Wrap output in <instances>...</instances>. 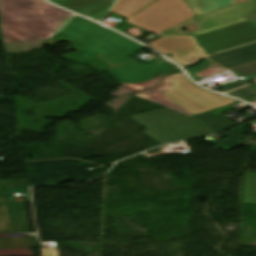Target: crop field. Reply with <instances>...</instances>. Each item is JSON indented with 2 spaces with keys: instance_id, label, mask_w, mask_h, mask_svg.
<instances>
[{
  "instance_id": "crop-field-3",
  "label": "crop field",
  "mask_w": 256,
  "mask_h": 256,
  "mask_svg": "<svg viewBox=\"0 0 256 256\" xmlns=\"http://www.w3.org/2000/svg\"><path fill=\"white\" fill-rule=\"evenodd\" d=\"M148 130L145 134L161 144L215 133L196 118L169 108L131 115Z\"/></svg>"
},
{
  "instance_id": "crop-field-2",
  "label": "crop field",
  "mask_w": 256,
  "mask_h": 256,
  "mask_svg": "<svg viewBox=\"0 0 256 256\" xmlns=\"http://www.w3.org/2000/svg\"><path fill=\"white\" fill-rule=\"evenodd\" d=\"M0 15L5 46L47 41L70 16L42 0H0Z\"/></svg>"
},
{
  "instance_id": "crop-field-8",
  "label": "crop field",
  "mask_w": 256,
  "mask_h": 256,
  "mask_svg": "<svg viewBox=\"0 0 256 256\" xmlns=\"http://www.w3.org/2000/svg\"><path fill=\"white\" fill-rule=\"evenodd\" d=\"M155 0H121L113 13L129 18L138 13Z\"/></svg>"
},
{
  "instance_id": "crop-field-6",
  "label": "crop field",
  "mask_w": 256,
  "mask_h": 256,
  "mask_svg": "<svg viewBox=\"0 0 256 256\" xmlns=\"http://www.w3.org/2000/svg\"><path fill=\"white\" fill-rule=\"evenodd\" d=\"M172 79L169 76H166L162 80L156 82L155 84L149 86L148 88L142 90L141 92L137 93L136 95L146 98L148 100L154 101L171 109H174L178 112L186 114L192 117L189 113L183 110L181 107L172 104L168 101L164 96H162L159 92L169 89L168 83L171 82Z\"/></svg>"
},
{
  "instance_id": "crop-field-19",
  "label": "crop field",
  "mask_w": 256,
  "mask_h": 256,
  "mask_svg": "<svg viewBox=\"0 0 256 256\" xmlns=\"http://www.w3.org/2000/svg\"><path fill=\"white\" fill-rule=\"evenodd\" d=\"M254 77H256V74H254V75H251V76H248V77H244L246 80H248V79H251V78H254ZM256 86V85H255Z\"/></svg>"
},
{
  "instance_id": "crop-field-12",
  "label": "crop field",
  "mask_w": 256,
  "mask_h": 256,
  "mask_svg": "<svg viewBox=\"0 0 256 256\" xmlns=\"http://www.w3.org/2000/svg\"><path fill=\"white\" fill-rule=\"evenodd\" d=\"M243 204H256V174H246Z\"/></svg>"
},
{
  "instance_id": "crop-field-15",
  "label": "crop field",
  "mask_w": 256,
  "mask_h": 256,
  "mask_svg": "<svg viewBox=\"0 0 256 256\" xmlns=\"http://www.w3.org/2000/svg\"><path fill=\"white\" fill-rule=\"evenodd\" d=\"M152 79H153V81H150V82H144V83L133 84V85H123V87H125L126 89H128L129 91H131L132 93L135 94L162 78L161 77H152Z\"/></svg>"
},
{
  "instance_id": "crop-field-7",
  "label": "crop field",
  "mask_w": 256,
  "mask_h": 256,
  "mask_svg": "<svg viewBox=\"0 0 256 256\" xmlns=\"http://www.w3.org/2000/svg\"><path fill=\"white\" fill-rule=\"evenodd\" d=\"M211 57L228 66L244 62L247 60H251L256 58V43L238 49L223 52L220 54H216Z\"/></svg>"
},
{
  "instance_id": "crop-field-18",
  "label": "crop field",
  "mask_w": 256,
  "mask_h": 256,
  "mask_svg": "<svg viewBox=\"0 0 256 256\" xmlns=\"http://www.w3.org/2000/svg\"><path fill=\"white\" fill-rule=\"evenodd\" d=\"M246 0H230V3H231V6L232 5H235V4H239V3H242V2H245Z\"/></svg>"
},
{
  "instance_id": "crop-field-11",
  "label": "crop field",
  "mask_w": 256,
  "mask_h": 256,
  "mask_svg": "<svg viewBox=\"0 0 256 256\" xmlns=\"http://www.w3.org/2000/svg\"><path fill=\"white\" fill-rule=\"evenodd\" d=\"M38 247L36 238H0V249Z\"/></svg>"
},
{
  "instance_id": "crop-field-13",
  "label": "crop field",
  "mask_w": 256,
  "mask_h": 256,
  "mask_svg": "<svg viewBox=\"0 0 256 256\" xmlns=\"http://www.w3.org/2000/svg\"><path fill=\"white\" fill-rule=\"evenodd\" d=\"M231 70L235 71L240 76L244 77L256 73V60L245 64L230 67Z\"/></svg>"
},
{
  "instance_id": "crop-field-9",
  "label": "crop field",
  "mask_w": 256,
  "mask_h": 256,
  "mask_svg": "<svg viewBox=\"0 0 256 256\" xmlns=\"http://www.w3.org/2000/svg\"><path fill=\"white\" fill-rule=\"evenodd\" d=\"M244 128H245V123L234 128L231 129L225 133H223V135H225L227 138L218 141L214 144L229 150L231 148L237 147L239 145L243 144V139H244Z\"/></svg>"
},
{
  "instance_id": "crop-field-17",
  "label": "crop field",
  "mask_w": 256,
  "mask_h": 256,
  "mask_svg": "<svg viewBox=\"0 0 256 256\" xmlns=\"http://www.w3.org/2000/svg\"><path fill=\"white\" fill-rule=\"evenodd\" d=\"M231 109H233V108L227 106V107H224V108H221V109L214 110V111H212V112H214V113L220 115V114H222V113H224V112H226V111H229V110H231Z\"/></svg>"
},
{
  "instance_id": "crop-field-1",
  "label": "crop field",
  "mask_w": 256,
  "mask_h": 256,
  "mask_svg": "<svg viewBox=\"0 0 256 256\" xmlns=\"http://www.w3.org/2000/svg\"><path fill=\"white\" fill-rule=\"evenodd\" d=\"M252 12L256 0L232 7L229 0H157L125 22L163 36L146 45L163 54L174 52L171 58L189 65L205 55L256 41V23L248 17ZM195 22L199 23L193 33L177 28Z\"/></svg>"
},
{
  "instance_id": "crop-field-10",
  "label": "crop field",
  "mask_w": 256,
  "mask_h": 256,
  "mask_svg": "<svg viewBox=\"0 0 256 256\" xmlns=\"http://www.w3.org/2000/svg\"><path fill=\"white\" fill-rule=\"evenodd\" d=\"M195 117L216 132L233 125L232 123L228 122L227 120H225L211 112H207V113L195 116Z\"/></svg>"
},
{
  "instance_id": "crop-field-5",
  "label": "crop field",
  "mask_w": 256,
  "mask_h": 256,
  "mask_svg": "<svg viewBox=\"0 0 256 256\" xmlns=\"http://www.w3.org/2000/svg\"><path fill=\"white\" fill-rule=\"evenodd\" d=\"M116 1L117 0H62L55 4L99 21L105 17Z\"/></svg>"
},
{
  "instance_id": "crop-field-14",
  "label": "crop field",
  "mask_w": 256,
  "mask_h": 256,
  "mask_svg": "<svg viewBox=\"0 0 256 256\" xmlns=\"http://www.w3.org/2000/svg\"><path fill=\"white\" fill-rule=\"evenodd\" d=\"M228 95L243 100L245 98L256 95V87H254L253 85H249V86L243 87L241 89L232 91V92L228 93Z\"/></svg>"
},
{
  "instance_id": "crop-field-16",
  "label": "crop field",
  "mask_w": 256,
  "mask_h": 256,
  "mask_svg": "<svg viewBox=\"0 0 256 256\" xmlns=\"http://www.w3.org/2000/svg\"><path fill=\"white\" fill-rule=\"evenodd\" d=\"M246 84H249V82H247L245 79H243L241 81H238V82H235V83L230 84L228 86H225V87H223V89H221L219 91H216V92L224 93L226 91L238 88V87L246 85Z\"/></svg>"
},
{
  "instance_id": "crop-field-4",
  "label": "crop field",
  "mask_w": 256,
  "mask_h": 256,
  "mask_svg": "<svg viewBox=\"0 0 256 256\" xmlns=\"http://www.w3.org/2000/svg\"><path fill=\"white\" fill-rule=\"evenodd\" d=\"M170 77L173 79V82L170 83L171 88L161 92V94L193 116L238 102L199 88L192 84L182 73Z\"/></svg>"
}]
</instances>
